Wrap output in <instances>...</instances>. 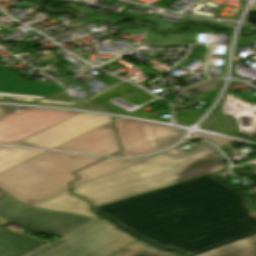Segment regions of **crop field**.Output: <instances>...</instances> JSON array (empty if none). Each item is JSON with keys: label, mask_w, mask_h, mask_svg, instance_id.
Masks as SVG:
<instances>
[{"label": "crop field", "mask_w": 256, "mask_h": 256, "mask_svg": "<svg viewBox=\"0 0 256 256\" xmlns=\"http://www.w3.org/2000/svg\"><path fill=\"white\" fill-rule=\"evenodd\" d=\"M99 159L48 151L0 173V188L16 200L30 205L68 190L67 184L77 179L71 172Z\"/></svg>", "instance_id": "3"}, {"label": "crop field", "mask_w": 256, "mask_h": 256, "mask_svg": "<svg viewBox=\"0 0 256 256\" xmlns=\"http://www.w3.org/2000/svg\"><path fill=\"white\" fill-rule=\"evenodd\" d=\"M238 137L241 133L236 132V124L233 119L221 114L219 105L212 111L210 116L202 123L201 127Z\"/></svg>", "instance_id": "15"}, {"label": "crop field", "mask_w": 256, "mask_h": 256, "mask_svg": "<svg viewBox=\"0 0 256 256\" xmlns=\"http://www.w3.org/2000/svg\"><path fill=\"white\" fill-rule=\"evenodd\" d=\"M6 194H7L6 192H4V191H2V190L0 189V198H1L2 196L6 195Z\"/></svg>", "instance_id": "23"}, {"label": "crop field", "mask_w": 256, "mask_h": 256, "mask_svg": "<svg viewBox=\"0 0 256 256\" xmlns=\"http://www.w3.org/2000/svg\"><path fill=\"white\" fill-rule=\"evenodd\" d=\"M2 148H4V147H0V149H2Z\"/></svg>", "instance_id": "25"}, {"label": "crop field", "mask_w": 256, "mask_h": 256, "mask_svg": "<svg viewBox=\"0 0 256 256\" xmlns=\"http://www.w3.org/2000/svg\"><path fill=\"white\" fill-rule=\"evenodd\" d=\"M136 241L103 219H93L26 256H107Z\"/></svg>", "instance_id": "5"}, {"label": "crop field", "mask_w": 256, "mask_h": 256, "mask_svg": "<svg viewBox=\"0 0 256 256\" xmlns=\"http://www.w3.org/2000/svg\"><path fill=\"white\" fill-rule=\"evenodd\" d=\"M252 177H255V178H256V176H248V177H246L245 179H250V178H252Z\"/></svg>", "instance_id": "24"}, {"label": "crop field", "mask_w": 256, "mask_h": 256, "mask_svg": "<svg viewBox=\"0 0 256 256\" xmlns=\"http://www.w3.org/2000/svg\"><path fill=\"white\" fill-rule=\"evenodd\" d=\"M32 206L100 218L90 212V204L71 195L69 190L35 203Z\"/></svg>", "instance_id": "11"}, {"label": "crop field", "mask_w": 256, "mask_h": 256, "mask_svg": "<svg viewBox=\"0 0 256 256\" xmlns=\"http://www.w3.org/2000/svg\"><path fill=\"white\" fill-rule=\"evenodd\" d=\"M196 256H256V235L238 240Z\"/></svg>", "instance_id": "13"}, {"label": "crop field", "mask_w": 256, "mask_h": 256, "mask_svg": "<svg viewBox=\"0 0 256 256\" xmlns=\"http://www.w3.org/2000/svg\"><path fill=\"white\" fill-rule=\"evenodd\" d=\"M55 149L106 155L120 151L112 121Z\"/></svg>", "instance_id": "9"}, {"label": "crop field", "mask_w": 256, "mask_h": 256, "mask_svg": "<svg viewBox=\"0 0 256 256\" xmlns=\"http://www.w3.org/2000/svg\"><path fill=\"white\" fill-rule=\"evenodd\" d=\"M149 157L145 158H138V159H105L102 160L88 168H85L81 171L74 173L80 178L76 182L70 183L71 187L78 186L80 184L86 183L88 181L94 180L96 178L102 177L104 175L110 174L117 170L123 169L128 167L136 162L144 160Z\"/></svg>", "instance_id": "12"}, {"label": "crop field", "mask_w": 256, "mask_h": 256, "mask_svg": "<svg viewBox=\"0 0 256 256\" xmlns=\"http://www.w3.org/2000/svg\"><path fill=\"white\" fill-rule=\"evenodd\" d=\"M97 79L100 80L101 82L107 84V85H113V84L120 81V79H117V78L109 76V75H106V76H103V77H100V78H97Z\"/></svg>", "instance_id": "20"}, {"label": "crop field", "mask_w": 256, "mask_h": 256, "mask_svg": "<svg viewBox=\"0 0 256 256\" xmlns=\"http://www.w3.org/2000/svg\"><path fill=\"white\" fill-rule=\"evenodd\" d=\"M91 219L93 218L28 206L8 194L0 199V243L17 254L11 256H23L48 242L2 226L7 221L20 224L37 233L62 236Z\"/></svg>", "instance_id": "4"}, {"label": "crop field", "mask_w": 256, "mask_h": 256, "mask_svg": "<svg viewBox=\"0 0 256 256\" xmlns=\"http://www.w3.org/2000/svg\"><path fill=\"white\" fill-rule=\"evenodd\" d=\"M18 108H20V107L0 105V118L5 116L6 114L18 109Z\"/></svg>", "instance_id": "21"}, {"label": "crop field", "mask_w": 256, "mask_h": 256, "mask_svg": "<svg viewBox=\"0 0 256 256\" xmlns=\"http://www.w3.org/2000/svg\"><path fill=\"white\" fill-rule=\"evenodd\" d=\"M193 136L204 138V139H209L210 142L216 143V145L221 148L223 146H226L234 141L222 139V138H217V137H212V136H206V135H201V134H192Z\"/></svg>", "instance_id": "18"}, {"label": "crop field", "mask_w": 256, "mask_h": 256, "mask_svg": "<svg viewBox=\"0 0 256 256\" xmlns=\"http://www.w3.org/2000/svg\"><path fill=\"white\" fill-rule=\"evenodd\" d=\"M46 151L6 147L0 150V172L21 164Z\"/></svg>", "instance_id": "14"}, {"label": "crop field", "mask_w": 256, "mask_h": 256, "mask_svg": "<svg viewBox=\"0 0 256 256\" xmlns=\"http://www.w3.org/2000/svg\"><path fill=\"white\" fill-rule=\"evenodd\" d=\"M131 245V244H130ZM111 256H183L166 251L154 249L139 241Z\"/></svg>", "instance_id": "16"}, {"label": "crop field", "mask_w": 256, "mask_h": 256, "mask_svg": "<svg viewBox=\"0 0 256 256\" xmlns=\"http://www.w3.org/2000/svg\"><path fill=\"white\" fill-rule=\"evenodd\" d=\"M136 86L133 85V84H130V83H127V82H124L120 85H117L111 89H108L104 92H101V93H97V94H94L92 95L93 97V100L94 102L98 103V104H101L117 95H120V94H123L133 88H135Z\"/></svg>", "instance_id": "17"}, {"label": "crop field", "mask_w": 256, "mask_h": 256, "mask_svg": "<svg viewBox=\"0 0 256 256\" xmlns=\"http://www.w3.org/2000/svg\"><path fill=\"white\" fill-rule=\"evenodd\" d=\"M93 210L157 248L189 256L256 234L249 198L217 174Z\"/></svg>", "instance_id": "1"}, {"label": "crop field", "mask_w": 256, "mask_h": 256, "mask_svg": "<svg viewBox=\"0 0 256 256\" xmlns=\"http://www.w3.org/2000/svg\"><path fill=\"white\" fill-rule=\"evenodd\" d=\"M37 80L27 82L0 66L1 95L42 98L64 90L54 82L45 85Z\"/></svg>", "instance_id": "10"}, {"label": "crop field", "mask_w": 256, "mask_h": 256, "mask_svg": "<svg viewBox=\"0 0 256 256\" xmlns=\"http://www.w3.org/2000/svg\"><path fill=\"white\" fill-rule=\"evenodd\" d=\"M216 86H217L216 81H211V82H206V83H203V84H200V85H197V86H194V87L182 90L181 92L184 93L186 91L193 90V89H196L198 91L204 92V91L209 90L211 88H214Z\"/></svg>", "instance_id": "19"}, {"label": "crop field", "mask_w": 256, "mask_h": 256, "mask_svg": "<svg viewBox=\"0 0 256 256\" xmlns=\"http://www.w3.org/2000/svg\"><path fill=\"white\" fill-rule=\"evenodd\" d=\"M123 151L114 155H138L165 148L183 137L185 131L148 122L114 120Z\"/></svg>", "instance_id": "6"}, {"label": "crop field", "mask_w": 256, "mask_h": 256, "mask_svg": "<svg viewBox=\"0 0 256 256\" xmlns=\"http://www.w3.org/2000/svg\"><path fill=\"white\" fill-rule=\"evenodd\" d=\"M191 140L193 139H187L180 146ZM178 147L75 187L72 193L97 207L228 167L222 164L225 158L207 143L195 145L192 152L183 151Z\"/></svg>", "instance_id": "2"}, {"label": "crop field", "mask_w": 256, "mask_h": 256, "mask_svg": "<svg viewBox=\"0 0 256 256\" xmlns=\"http://www.w3.org/2000/svg\"><path fill=\"white\" fill-rule=\"evenodd\" d=\"M79 113L23 107L0 119V142L13 144Z\"/></svg>", "instance_id": "7"}, {"label": "crop field", "mask_w": 256, "mask_h": 256, "mask_svg": "<svg viewBox=\"0 0 256 256\" xmlns=\"http://www.w3.org/2000/svg\"><path fill=\"white\" fill-rule=\"evenodd\" d=\"M109 121L110 117L81 113L15 144L53 149Z\"/></svg>", "instance_id": "8"}, {"label": "crop field", "mask_w": 256, "mask_h": 256, "mask_svg": "<svg viewBox=\"0 0 256 256\" xmlns=\"http://www.w3.org/2000/svg\"><path fill=\"white\" fill-rule=\"evenodd\" d=\"M10 253H12L10 250L0 245V256H6Z\"/></svg>", "instance_id": "22"}]
</instances>
